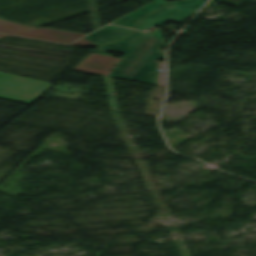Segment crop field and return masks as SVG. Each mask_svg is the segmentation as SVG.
Instances as JSON below:
<instances>
[{
	"instance_id": "crop-field-3",
	"label": "crop field",
	"mask_w": 256,
	"mask_h": 256,
	"mask_svg": "<svg viewBox=\"0 0 256 256\" xmlns=\"http://www.w3.org/2000/svg\"><path fill=\"white\" fill-rule=\"evenodd\" d=\"M205 1H171L153 14L141 18L136 29L145 30L154 25L161 26L166 21L179 23L192 15Z\"/></svg>"
},
{
	"instance_id": "crop-field-5",
	"label": "crop field",
	"mask_w": 256,
	"mask_h": 256,
	"mask_svg": "<svg viewBox=\"0 0 256 256\" xmlns=\"http://www.w3.org/2000/svg\"><path fill=\"white\" fill-rule=\"evenodd\" d=\"M118 60L113 56L91 53L74 70L107 76Z\"/></svg>"
},
{
	"instance_id": "crop-field-6",
	"label": "crop field",
	"mask_w": 256,
	"mask_h": 256,
	"mask_svg": "<svg viewBox=\"0 0 256 256\" xmlns=\"http://www.w3.org/2000/svg\"><path fill=\"white\" fill-rule=\"evenodd\" d=\"M16 35L67 43L80 37L81 35H83V33L38 28V29L22 32Z\"/></svg>"
},
{
	"instance_id": "crop-field-2",
	"label": "crop field",
	"mask_w": 256,
	"mask_h": 256,
	"mask_svg": "<svg viewBox=\"0 0 256 256\" xmlns=\"http://www.w3.org/2000/svg\"><path fill=\"white\" fill-rule=\"evenodd\" d=\"M51 83L0 72V98L29 104Z\"/></svg>"
},
{
	"instance_id": "crop-field-8",
	"label": "crop field",
	"mask_w": 256,
	"mask_h": 256,
	"mask_svg": "<svg viewBox=\"0 0 256 256\" xmlns=\"http://www.w3.org/2000/svg\"><path fill=\"white\" fill-rule=\"evenodd\" d=\"M154 2L148 4V5H145L111 23H114V24H118V25H122V26H126V27H130V28H134V25L136 23V21L152 12V11H155L156 9H158L160 6H162L163 4L167 3V1L165 0H152Z\"/></svg>"
},
{
	"instance_id": "crop-field-11",
	"label": "crop field",
	"mask_w": 256,
	"mask_h": 256,
	"mask_svg": "<svg viewBox=\"0 0 256 256\" xmlns=\"http://www.w3.org/2000/svg\"><path fill=\"white\" fill-rule=\"evenodd\" d=\"M5 36H7V35L0 34V38H1V37H5Z\"/></svg>"
},
{
	"instance_id": "crop-field-10",
	"label": "crop field",
	"mask_w": 256,
	"mask_h": 256,
	"mask_svg": "<svg viewBox=\"0 0 256 256\" xmlns=\"http://www.w3.org/2000/svg\"><path fill=\"white\" fill-rule=\"evenodd\" d=\"M71 45L86 46V45H94V44H92V43H90V42H88V41H86V40H84V39L81 38V39H79V40H77V41L71 43Z\"/></svg>"
},
{
	"instance_id": "crop-field-7",
	"label": "crop field",
	"mask_w": 256,
	"mask_h": 256,
	"mask_svg": "<svg viewBox=\"0 0 256 256\" xmlns=\"http://www.w3.org/2000/svg\"><path fill=\"white\" fill-rule=\"evenodd\" d=\"M132 32V29L123 28L114 25H107L104 28L89 34L83 38L86 40L99 45L105 42L113 41L118 38H121Z\"/></svg>"
},
{
	"instance_id": "crop-field-4",
	"label": "crop field",
	"mask_w": 256,
	"mask_h": 256,
	"mask_svg": "<svg viewBox=\"0 0 256 256\" xmlns=\"http://www.w3.org/2000/svg\"><path fill=\"white\" fill-rule=\"evenodd\" d=\"M157 61L123 55L108 76L157 85Z\"/></svg>"
},
{
	"instance_id": "crop-field-9",
	"label": "crop field",
	"mask_w": 256,
	"mask_h": 256,
	"mask_svg": "<svg viewBox=\"0 0 256 256\" xmlns=\"http://www.w3.org/2000/svg\"><path fill=\"white\" fill-rule=\"evenodd\" d=\"M33 29V27L21 25L18 23L10 22L0 19V32L13 35L22 31Z\"/></svg>"
},
{
	"instance_id": "crop-field-1",
	"label": "crop field",
	"mask_w": 256,
	"mask_h": 256,
	"mask_svg": "<svg viewBox=\"0 0 256 256\" xmlns=\"http://www.w3.org/2000/svg\"><path fill=\"white\" fill-rule=\"evenodd\" d=\"M161 39L160 28L151 33L134 31L117 42L100 45L96 49L157 60L163 58L164 54V51L158 48L166 44Z\"/></svg>"
}]
</instances>
